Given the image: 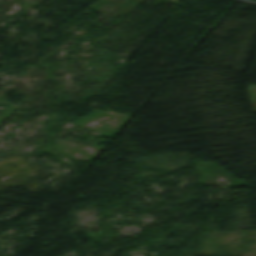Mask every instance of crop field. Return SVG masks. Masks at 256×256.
I'll list each match as a JSON object with an SVG mask.
<instances>
[{"instance_id":"crop-field-1","label":"crop field","mask_w":256,"mask_h":256,"mask_svg":"<svg viewBox=\"0 0 256 256\" xmlns=\"http://www.w3.org/2000/svg\"><path fill=\"white\" fill-rule=\"evenodd\" d=\"M253 112H256V85L247 86Z\"/></svg>"}]
</instances>
